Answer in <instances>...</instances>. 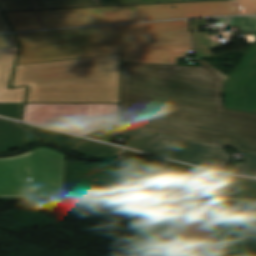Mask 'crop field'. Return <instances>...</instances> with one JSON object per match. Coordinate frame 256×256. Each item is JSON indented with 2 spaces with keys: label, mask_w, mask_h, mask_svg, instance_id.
Instances as JSON below:
<instances>
[{
  "label": "crop field",
  "mask_w": 256,
  "mask_h": 256,
  "mask_svg": "<svg viewBox=\"0 0 256 256\" xmlns=\"http://www.w3.org/2000/svg\"><path fill=\"white\" fill-rule=\"evenodd\" d=\"M198 64L121 62L119 125L256 154V115L223 110L227 76Z\"/></svg>",
  "instance_id": "8a807250"
},
{
  "label": "crop field",
  "mask_w": 256,
  "mask_h": 256,
  "mask_svg": "<svg viewBox=\"0 0 256 256\" xmlns=\"http://www.w3.org/2000/svg\"><path fill=\"white\" fill-rule=\"evenodd\" d=\"M188 29L186 20L16 34L17 64L120 54L121 36Z\"/></svg>",
  "instance_id": "ac0d7876"
},
{
  "label": "crop field",
  "mask_w": 256,
  "mask_h": 256,
  "mask_svg": "<svg viewBox=\"0 0 256 256\" xmlns=\"http://www.w3.org/2000/svg\"><path fill=\"white\" fill-rule=\"evenodd\" d=\"M171 5H176L174 9ZM45 29L157 19L256 14V0H223L37 11Z\"/></svg>",
  "instance_id": "34b2d1b8"
},
{
  "label": "crop field",
  "mask_w": 256,
  "mask_h": 256,
  "mask_svg": "<svg viewBox=\"0 0 256 256\" xmlns=\"http://www.w3.org/2000/svg\"><path fill=\"white\" fill-rule=\"evenodd\" d=\"M65 155L37 148L14 159H0V196L62 197ZM27 177L32 181L27 182Z\"/></svg>",
  "instance_id": "412701ff"
},
{
  "label": "crop field",
  "mask_w": 256,
  "mask_h": 256,
  "mask_svg": "<svg viewBox=\"0 0 256 256\" xmlns=\"http://www.w3.org/2000/svg\"><path fill=\"white\" fill-rule=\"evenodd\" d=\"M123 180H134L138 194V213L141 222H135L138 251L135 256L164 255L165 213L156 190L153 165L139 159L125 161Z\"/></svg>",
  "instance_id": "f4fd0767"
},
{
  "label": "crop field",
  "mask_w": 256,
  "mask_h": 256,
  "mask_svg": "<svg viewBox=\"0 0 256 256\" xmlns=\"http://www.w3.org/2000/svg\"><path fill=\"white\" fill-rule=\"evenodd\" d=\"M22 120L86 136L104 122L118 125L119 104H26Z\"/></svg>",
  "instance_id": "dd49c442"
},
{
  "label": "crop field",
  "mask_w": 256,
  "mask_h": 256,
  "mask_svg": "<svg viewBox=\"0 0 256 256\" xmlns=\"http://www.w3.org/2000/svg\"><path fill=\"white\" fill-rule=\"evenodd\" d=\"M120 74V55L16 66L12 87Z\"/></svg>",
  "instance_id": "e52e79f7"
},
{
  "label": "crop field",
  "mask_w": 256,
  "mask_h": 256,
  "mask_svg": "<svg viewBox=\"0 0 256 256\" xmlns=\"http://www.w3.org/2000/svg\"><path fill=\"white\" fill-rule=\"evenodd\" d=\"M120 75L29 86L26 103H119Z\"/></svg>",
  "instance_id": "d8731c3e"
},
{
  "label": "crop field",
  "mask_w": 256,
  "mask_h": 256,
  "mask_svg": "<svg viewBox=\"0 0 256 256\" xmlns=\"http://www.w3.org/2000/svg\"><path fill=\"white\" fill-rule=\"evenodd\" d=\"M183 50H192L188 30L125 36L121 61L176 65L174 51Z\"/></svg>",
  "instance_id": "5a996713"
},
{
  "label": "crop field",
  "mask_w": 256,
  "mask_h": 256,
  "mask_svg": "<svg viewBox=\"0 0 256 256\" xmlns=\"http://www.w3.org/2000/svg\"><path fill=\"white\" fill-rule=\"evenodd\" d=\"M223 148L158 134L142 151L223 171L232 158Z\"/></svg>",
  "instance_id": "3316defc"
},
{
  "label": "crop field",
  "mask_w": 256,
  "mask_h": 256,
  "mask_svg": "<svg viewBox=\"0 0 256 256\" xmlns=\"http://www.w3.org/2000/svg\"><path fill=\"white\" fill-rule=\"evenodd\" d=\"M208 226V220L167 222V256H221Z\"/></svg>",
  "instance_id": "28ad6ade"
},
{
  "label": "crop field",
  "mask_w": 256,
  "mask_h": 256,
  "mask_svg": "<svg viewBox=\"0 0 256 256\" xmlns=\"http://www.w3.org/2000/svg\"><path fill=\"white\" fill-rule=\"evenodd\" d=\"M225 108L256 113V45L224 82Z\"/></svg>",
  "instance_id": "d1516ede"
},
{
  "label": "crop field",
  "mask_w": 256,
  "mask_h": 256,
  "mask_svg": "<svg viewBox=\"0 0 256 256\" xmlns=\"http://www.w3.org/2000/svg\"><path fill=\"white\" fill-rule=\"evenodd\" d=\"M156 182L165 206L166 220L206 218L197 198L186 194L184 182L176 173L157 166Z\"/></svg>",
  "instance_id": "22f410ed"
},
{
  "label": "crop field",
  "mask_w": 256,
  "mask_h": 256,
  "mask_svg": "<svg viewBox=\"0 0 256 256\" xmlns=\"http://www.w3.org/2000/svg\"><path fill=\"white\" fill-rule=\"evenodd\" d=\"M113 167L66 162L63 197H75L78 189L110 187L121 171V166Z\"/></svg>",
  "instance_id": "cbeb9de0"
},
{
  "label": "crop field",
  "mask_w": 256,
  "mask_h": 256,
  "mask_svg": "<svg viewBox=\"0 0 256 256\" xmlns=\"http://www.w3.org/2000/svg\"><path fill=\"white\" fill-rule=\"evenodd\" d=\"M202 202L224 255L248 256L228 207L205 200Z\"/></svg>",
  "instance_id": "5142ce71"
},
{
  "label": "crop field",
  "mask_w": 256,
  "mask_h": 256,
  "mask_svg": "<svg viewBox=\"0 0 256 256\" xmlns=\"http://www.w3.org/2000/svg\"><path fill=\"white\" fill-rule=\"evenodd\" d=\"M196 192L221 201L243 202L256 205V199L225 197L224 175L200 169L192 177Z\"/></svg>",
  "instance_id": "d9b57169"
},
{
  "label": "crop field",
  "mask_w": 256,
  "mask_h": 256,
  "mask_svg": "<svg viewBox=\"0 0 256 256\" xmlns=\"http://www.w3.org/2000/svg\"><path fill=\"white\" fill-rule=\"evenodd\" d=\"M41 141L42 139L19 124L0 118V153L13 147L22 148Z\"/></svg>",
  "instance_id": "733c2abd"
},
{
  "label": "crop field",
  "mask_w": 256,
  "mask_h": 256,
  "mask_svg": "<svg viewBox=\"0 0 256 256\" xmlns=\"http://www.w3.org/2000/svg\"><path fill=\"white\" fill-rule=\"evenodd\" d=\"M114 134L131 138L127 143L124 144V146L138 150H141L152 138L157 135L155 133L128 129L119 127L117 125L104 123L87 137L108 142Z\"/></svg>",
  "instance_id": "4a817a6b"
},
{
  "label": "crop field",
  "mask_w": 256,
  "mask_h": 256,
  "mask_svg": "<svg viewBox=\"0 0 256 256\" xmlns=\"http://www.w3.org/2000/svg\"><path fill=\"white\" fill-rule=\"evenodd\" d=\"M249 256H256V212L228 206Z\"/></svg>",
  "instance_id": "bc2a9ffb"
},
{
  "label": "crop field",
  "mask_w": 256,
  "mask_h": 256,
  "mask_svg": "<svg viewBox=\"0 0 256 256\" xmlns=\"http://www.w3.org/2000/svg\"><path fill=\"white\" fill-rule=\"evenodd\" d=\"M70 150L75 151L81 155H85L87 157L94 158H111L120 156L122 153V149L112 147L109 145L89 141L82 139L77 144H75Z\"/></svg>",
  "instance_id": "214f88e0"
},
{
  "label": "crop field",
  "mask_w": 256,
  "mask_h": 256,
  "mask_svg": "<svg viewBox=\"0 0 256 256\" xmlns=\"http://www.w3.org/2000/svg\"><path fill=\"white\" fill-rule=\"evenodd\" d=\"M226 196L256 198V180L227 176Z\"/></svg>",
  "instance_id": "92a150f3"
},
{
  "label": "crop field",
  "mask_w": 256,
  "mask_h": 256,
  "mask_svg": "<svg viewBox=\"0 0 256 256\" xmlns=\"http://www.w3.org/2000/svg\"><path fill=\"white\" fill-rule=\"evenodd\" d=\"M19 47L0 49V90L8 89Z\"/></svg>",
  "instance_id": "dafd665d"
},
{
  "label": "crop field",
  "mask_w": 256,
  "mask_h": 256,
  "mask_svg": "<svg viewBox=\"0 0 256 256\" xmlns=\"http://www.w3.org/2000/svg\"><path fill=\"white\" fill-rule=\"evenodd\" d=\"M192 38L197 61L211 56L210 50L220 47L215 35H208L207 32L192 33Z\"/></svg>",
  "instance_id": "00972430"
},
{
  "label": "crop field",
  "mask_w": 256,
  "mask_h": 256,
  "mask_svg": "<svg viewBox=\"0 0 256 256\" xmlns=\"http://www.w3.org/2000/svg\"><path fill=\"white\" fill-rule=\"evenodd\" d=\"M14 31L41 29L33 11L5 13Z\"/></svg>",
  "instance_id": "a9b5d70f"
},
{
  "label": "crop field",
  "mask_w": 256,
  "mask_h": 256,
  "mask_svg": "<svg viewBox=\"0 0 256 256\" xmlns=\"http://www.w3.org/2000/svg\"><path fill=\"white\" fill-rule=\"evenodd\" d=\"M36 9L101 6L99 0H32Z\"/></svg>",
  "instance_id": "4177f3b9"
},
{
  "label": "crop field",
  "mask_w": 256,
  "mask_h": 256,
  "mask_svg": "<svg viewBox=\"0 0 256 256\" xmlns=\"http://www.w3.org/2000/svg\"><path fill=\"white\" fill-rule=\"evenodd\" d=\"M27 128L31 129L35 133L39 134L40 136L44 137L46 140L44 142L54 143L60 146H63L67 149H69L72 145H74L76 142H78L81 138L25 125ZM72 148V147H71Z\"/></svg>",
  "instance_id": "730fd06b"
},
{
  "label": "crop field",
  "mask_w": 256,
  "mask_h": 256,
  "mask_svg": "<svg viewBox=\"0 0 256 256\" xmlns=\"http://www.w3.org/2000/svg\"><path fill=\"white\" fill-rule=\"evenodd\" d=\"M217 21L224 22L231 26L239 28L245 35H252L253 33L246 34L251 30H256V16H245V17H224V18H213Z\"/></svg>",
  "instance_id": "eef30255"
},
{
  "label": "crop field",
  "mask_w": 256,
  "mask_h": 256,
  "mask_svg": "<svg viewBox=\"0 0 256 256\" xmlns=\"http://www.w3.org/2000/svg\"><path fill=\"white\" fill-rule=\"evenodd\" d=\"M242 160L232 173L256 177V155L246 154Z\"/></svg>",
  "instance_id": "ae1a2a85"
},
{
  "label": "crop field",
  "mask_w": 256,
  "mask_h": 256,
  "mask_svg": "<svg viewBox=\"0 0 256 256\" xmlns=\"http://www.w3.org/2000/svg\"><path fill=\"white\" fill-rule=\"evenodd\" d=\"M25 89L26 87L13 90H1L0 102L23 103Z\"/></svg>",
  "instance_id": "d3111659"
},
{
  "label": "crop field",
  "mask_w": 256,
  "mask_h": 256,
  "mask_svg": "<svg viewBox=\"0 0 256 256\" xmlns=\"http://www.w3.org/2000/svg\"><path fill=\"white\" fill-rule=\"evenodd\" d=\"M2 11L33 9L29 0H0Z\"/></svg>",
  "instance_id": "750c4746"
},
{
  "label": "crop field",
  "mask_w": 256,
  "mask_h": 256,
  "mask_svg": "<svg viewBox=\"0 0 256 256\" xmlns=\"http://www.w3.org/2000/svg\"><path fill=\"white\" fill-rule=\"evenodd\" d=\"M23 104L0 103V115L19 120Z\"/></svg>",
  "instance_id": "bd1437ed"
},
{
  "label": "crop field",
  "mask_w": 256,
  "mask_h": 256,
  "mask_svg": "<svg viewBox=\"0 0 256 256\" xmlns=\"http://www.w3.org/2000/svg\"><path fill=\"white\" fill-rule=\"evenodd\" d=\"M183 0H100L102 6L136 4V3H156V2H175Z\"/></svg>",
  "instance_id": "1d83c4d3"
},
{
  "label": "crop field",
  "mask_w": 256,
  "mask_h": 256,
  "mask_svg": "<svg viewBox=\"0 0 256 256\" xmlns=\"http://www.w3.org/2000/svg\"><path fill=\"white\" fill-rule=\"evenodd\" d=\"M19 46L13 34L0 35V48Z\"/></svg>",
  "instance_id": "120bbe31"
},
{
  "label": "crop field",
  "mask_w": 256,
  "mask_h": 256,
  "mask_svg": "<svg viewBox=\"0 0 256 256\" xmlns=\"http://www.w3.org/2000/svg\"><path fill=\"white\" fill-rule=\"evenodd\" d=\"M164 163H167V164L173 165V166H175L177 168H180V169L190 173L191 175H193L196 171L199 170V168L182 165V164H179V163H176V162H172V161L164 160Z\"/></svg>",
  "instance_id": "d32e631a"
},
{
  "label": "crop field",
  "mask_w": 256,
  "mask_h": 256,
  "mask_svg": "<svg viewBox=\"0 0 256 256\" xmlns=\"http://www.w3.org/2000/svg\"><path fill=\"white\" fill-rule=\"evenodd\" d=\"M8 31H11V29L7 24L6 20L4 19L2 13L0 12V32H8Z\"/></svg>",
  "instance_id": "5866460e"
},
{
  "label": "crop field",
  "mask_w": 256,
  "mask_h": 256,
  "mask_svg": "<svg viewBox=\"0 0 256 256\" xmlns=\"http://www.w3.org/2000/svg\"><path fill=\"white\" fill-rule=\"evenodd\" d=\"M109 203L119 202L118 191L108 192Z\"/></svg>",
  "instance_id": "028f5c9d"
},
{
  "label": "crop field",
  "mask_w": 256,
  "mask_h": 256,
  "mask_svg": "<svg viewBox=\"0 0 256 256\" xmlns=\"http://www.w3.org/2000/svg\"><path fill=\"white\" fill-rule=\"evenodd\" d=\"M189 22H190L192 32L199 31L194 19H190Z\"/></svg>",
  "instance_id": "e1f06a70"
},
{
  "label": "crop field",
  "mask_w": 256,
  "mask_h": 256,
  "mask_svg": "<svg viewBox=\"0 0 256 256\" xmlns=\"http://www.w3.org/2000/svg\"><path fill=\"white\" fill-rule=\"evenodd\" d=\"M127 154H140V153L125 150V152H124V154H123V155H127Z\"/></svg>",
  "instance_id": "0bd39190"
},
{
  "label": "crop field",
  "mask_w": 256,
  "mask_h": 256,
  "mask_svg": "<svg viewBox=\"0 0 256 256\" xmlns=\"http://www.w3.org/2000/svg\"><path fill=\"white\" fill-rule=\"evenodd\" d=\"M184 1H197V0H184Z\"/></svg>",
  "instance_id": "b80d0937"
},
{
  "label": "crop field",
  "mask_w": 256,
  "mask_h": 256,
  "mask_svg": "<svg viewBox=\"0 0 256 256\" xmlns=\"http://www.w3.org/2000/svg\"><path fill=\"white\" fill-rule=\"evenodd\" d=\"M254 34H255V36H256V31H252Z\"/></svg>",
  "instance_id": "c035e120"
},
{
  "label": "crop field",
  "mask_w": 256,
  "mask_h": 256,
  "mask_svg": "<svg viewBox=\"0 0 256 256\" xmlns=\"http://www.w3.org/2000/svg\"><path fill=\"white\" fill-rule=\"evenodd\" d=\"M24 155V154H23ZM21 156V155H20ZM18 157V156H17ZM12 158H14V157H12Z\"/></svg>",
  "instance_id": "c21b1889"
}]
</instances>
